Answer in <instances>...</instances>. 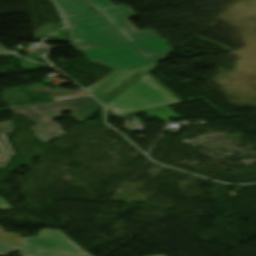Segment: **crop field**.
I'll use <instances>...</instances> for the list:
<instances>
[{
	"label": "crop field",
	"mask_w": 256,
	"mask_h": 256,
	"mask_svg": "<svg viewBox=\"0 0 256 256\" xmlns=\"http://www.w3.org/2000/svg\"><path fill=\"white\" fill-rule=\"evenodd\" d=\"M129 41L157 36L152 29L138 32L127 20L136 17V13L126 6L98 11ZM69 25L71 45L77 51L126 42L105 19L97 12L65 18Z\"/></svg>",
	"instance_id": "8a807250"
},
{
	"label": "crop field",
	"mask_w": 256,
	"mask_h": 256,
	"mask_svg": "<svg viewBox=\"0 0 256 256\" xmlns=\"http://www.w3.org/2000/svg\"><path fill=\"white\" fill-rule=\"evenodd\" d=\"M175 103H179V101L145 75L105 105L115 114L121 115Z\"/></svg>",
	"instance_id": "ac0d7876"
},
{
	"label": "crop field",
	"mask_w": 256,
	"mask_h": 256,
	"mask_svg": "<svg viewBox=\"0 0 256 256\" xmlns=\"http://www.w3.org/2000/svg\"><path fill=\"white\" fill-rule=\"evenodd\" d=\"M85 105L88 106L80 110L77 109ZM100 107L101 105H99L93 99L87 98L50 105L18 109L15 111L18 114L24 113L34 122H36L38 125L29 128H31L36 133L34 135H36L42 141L46 142L54 137L63 134V132L60 130L61 128L52 121V119L62 117L59 113L69 109L73 112L71 116L81 123Z\"/></svg>",
	"instance_id": "34b2d1b8"
},
{
	"label": "crop field",
	"mask_w": 256,
	"mask_h": 256,
	"mask_svg": "<svg viewBox=\"0 0 256 256\" xmlns=\"http://www.w3.org/2000/svg\"><path fill=\"white\" fill-rule=\"evenodd\" d=\"M91 62L111 70L158 62L166 55L144 58L129 42L83 51Z\"/></svg>",
	"instance_id": "412701ff"
},
{
	"label": "crop field",
	"mask_w": 256,
	"mask_h": 256,
	"mask_svg": "<svg viewBox=\"0 0 256 256\" xmlns=\"http://www.w3.org/2000/svg\"><path fill=\"white\" fill-rule=\"evenodd\" d=\"M20 244H22V253L29 256L42 253L89 256L60 230L40 231L39 237L23 238Z\"/></svg>",
	"instance_id": "f4fd0767"
},
{
	"label": "crop field",
	"mask_w": 256,
	"mask_h": 256,
	"mask_svg": "<svg viewBox=\"0 0 256 256\" xmlns=\"http://www.w3.org/2000/svg\"><path fill=\"white\" fill-rule=\"evenodd\" d=\"M156 65L153 63L114 71L86 89L105 102Z\"/></svg>",
	"instance_id": "dd49c442"
},
{
	"label": "crop field",
	"mask_w": 256,
	"mask_h": 256,
	"mask_svg": "<svg viewBox=\"0 0 256 256\" xmlns=\"http://www.w3.org/2000/svg\"><path fill=\"white\" fill-rule=\"evenodd\" d=\"M145 57L174 52L160 37H152L131 42Z\"/></svg>",
	"instance_id": "e52e79f7"
},
{
	"label": "crop field",
	"mask_w": 256,
	"mask_h": 256,
	"mask_svg": "<svg viewBox=\"0 0 256 256\" xmlns=\"http://www.w3.org/2000/svg\"><path fill=\"white\" fill-rule=\"evenodd\" d=\"M63 16L90 11L91 6L84 0H55Z\"/></svg>",
	"instance_id": "d8731c3e"
},
{
	"label": "crop field",
	"mask_w": 256,
	"mask_h": 256,
	"mask_svg": "<svg viewBox=\"0 0 256 256\" xmlns=\"http://www.w3.org/2000/svg\"><path fill=\"white\" fill-rule=\"evenodd\" d=\"M12 132H14V130L0 132V168L8 164V156L15 155L14 152L11 150L8 140L5 136V134Z\"/></svg>",
	"instance_id": "5a996713"
},
{
	"label": "crop field",
	"mask_w": 256,
	"mask_h": 256,
	"mask_svg": "<svg viewBox=\"0 0 256 256\" xmlns=\"http://www.w3.org/2000/svg\"><path fill=\"white\" fill-rule=\"evenodd\" d=\"M21 234L5 232L0 228V241L19 245Z\"/></svg>",
	"instance_id": "3316defc"
},
{
	"label": "crop field",
	"mask_w": 256,
	"mask_h": 256,
	"mask_svg": "<svg viewBox=\"0 0 256 256\" xmlns=\"http://www.w3.org/2000/svg\"><path fill=\"white\" fill-rule=\"evenodd\" d=\"M96 10L114 7L109 0H87Z\"/></svg>",
	"instance_id": "28ad6ade"
},
{
	"label": "crop field",
	"mask_w": 256,
	"mask_h": 256,
	"mask_svg": "<svg viewBox=\"0 0 256 256\" xmlns=\"http://www.w3.org/2000/svg\"><path fill=\"white\" fill-rule=\"evenodd\" d=\"M18 251V248L0 244V256H7L9 253Z\"/></svg>",
	"instance_id": "d1516ede"
},
{
	"label": "crop field",
	"mask_w": 256,
	"mask_h": 256,
	"mask_svg": "<svg viewBox=\"0 0 256 256\" xmlns=\"http://www.w3.org/2000/svg\"><path fill=\"white\" fill-rule=\"evenodd\" d=\"M10 129H14L11 122L0 123V131L10 130Z\"/></svg>",
	"instance_id": "22f410ed"
},
{
	"label": "crop field",
	"mask_w": 256,
	"mask_h": 256,
	"mask_svg": "<svg viewBox=\"0 0 256 256\" xmlns=\"http://www.w3.org/2000/svg\"><path fill=\"white\" fill-rule=\"evenodd\" d=\"M0 209H10V206L2 198H0Z\"/></svg>",
	"instance_id": "cbeb9de0"
},
{
	"label": "crop field",
	"mask_w": 256,
	"mask_h": 256,
	"mask_svg": "<svg viewBox=\"0 0 256 256\" xmlns=\"http://www.w3.org/2000/svg\"><path fill=\"white\" fill-rule=\"evenodd\" d=\"M4 52H8V50H6V49L3 48L2 46H0V53H4Z\"/></svg>",
	"instance_id": "5142ce71"
},
{
	"label": "crop field",
	"mask_w": 256,
	"mask_h": 256,
	"mask_svg": "<svg viewBox=\"0 0 256 256\" xmlns=\"http://www.w3.org/2000/svg\"><path fill=\"white\" fill-rule=\"evenodd\" d=\"M160 256H164V255H160Z\"/></svg>",
	"instance_id": "d9b57169"
}]
</instances>
